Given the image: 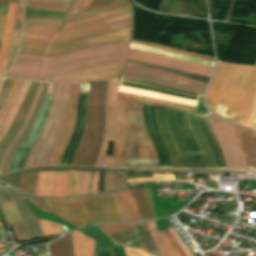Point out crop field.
Here are the masks:
<instances>
[{"label": "crop field", "instance_id": "425ffa30", "mask_svg": "<svg viewBox=\"0 0 256 256\" xmlns=\"http://www.w3.org/2000/svg\"><path fill=\"white\" fill-rule=\"evenodd\" d=\"M160 179H175V176L174 174H152V177L128 179V182L152 181V180H160Z\"/></svg>", "mask_w": 256, "mask_h": 256}, {"label": "crop field", "instance_id": "730fd06b", "mask_svg": "<svg viewBox=\"0 0 256 256\" xmlns=\"http://www.w3.org/2000/svg\"><path fill=\"white\" fill-rule=\"evenodd\" d=\"M15 6H16V3H9L8 14H7V19H6L4 34H3V41H2V46L0 49V68L4 62L6 55H7V51H8V47H9V43H10V39H11Z\"/></svg>", "mask_w": 256, "mask_h": 256}, {"label": "crop field", "instance_id": "120bbe31", "mask_svg": "<svg viewBox=\"0 0 256 256\" xmlns=\"http://www.w3.org/2000/svg\"><path fill=\"white\" fill-rule=\"evenodd\" d=\"M119 90L129 92V93L138 94V95H143V96H147V97H151V98L162 99V100H167V101H172V102H178V103H183V104H188V105L196 106V104H197V102H195V101L160 95V94H156V93L126 88V87H121V86H119Z\"/></svg>", "mask_w": 256, "mask_h": 256}, {"label": "crop field", "instance_id": "0765c3eb", "mask_svg": "<svg viewBox=\"0 0 256 256\" xmlns=\"http://www.w3.org/2000/svg\"><path fill=\"white\" fill-rule=\"evenodd\" d=\"M5 78H20V79L34 80V81H40L41 79L36 77L16 76V75H10V74H7Z\"/></svg>", "mask_w": 256, "mask_h": 256}, {"label": "crop field", "instance_id": "4a817a6b", "mask_svg": "<svg viewBox=\"0 0 256 256\" xmlns=\"http://www.w3.org/2000/svg\"><path fill=\"white\" fill-rule=\"evenodd\" d=\"M234 127L248 169H256V133L239 126Z\"/></svg>", "mask_w": 256, "mask_h": 256}, {"label": "crop field", "instance_id": "ac0d7876", "mask_svg": "<svg viewBox=\"0 0 256 256\" xmlns=\"http://www.w3.org/2000/svg\"><path fill=\"white\" fill-rule=\"evenodd\" d=\"M131 40L83 49L57 56L18 54L10 74L60 76L94 67L124 64Z\"/></svg>", "mask_w": 256, "mask_h": 256}, {"label": "crop field", "instance_id": "5a996713", "mask_svg": "<svg viewBox=\"0 0 256 256\" xmlns=\"http://www.w3.org/2000/svg\"><path fill=\"white\" fill-rule=\"evenodd\" d=\"M133 26L117 28L59 44L21 43L19 52L29 55H57L83 48L131 39Z\"/></svg>", "mask_w": 256, "mask_h": 256}, {"label": "crop field", "instance_id": "e1f06a70", "mask_svg": "<svg viewBox=\"0 0 256 256\" xmlns=\"http://www.w3.org/2000/svg\"><path fill=\"white\" fill-rule=\"evenodd\" d=\"M38 172L21 174L18 188L26 192H34Z\"/></svg>", "mask_w": 256, "mask_h": 256}, {"label": "crop field", "instance_id": "5866460e", "mask_svg": "<svg viewBox=\"0 0 256 256\" xmlns=\"http://www.w3.org/2000/svg\"><path fill=\"white\" fill-rule=\"evenodd\" d=\"M25 11L65 13L63 11L29 8V7H25ZM35 12H26V13H35ZM55 13H45V14H55ZM25 18L63 21L64 15L25 14Z\"/></svg>", "mask_w": 256, "mask_h": 256}, {"label": "crop field", "instance_id": "78b8030e", "mask_svg": "<svg viewBox=\"0 0 256 256\" xmlns=\"http://www.w3.org/2000/svg\"><path fill=\"white\" fill-rule=\"evenodd\" d=\"M162 236L164 237L166 243L168 244V246L170 247V249L172 250V252L174 253L175 256H178L177 252L175 251L174 247L172 246V244L170 243L169 239L166 237V235L163 233V231H161Z\"/></svg>", "mask_w": 256, "mask_h": 256}, {"label": "crop field", "instance_id": "a9b5d70f", "mask_svg": "<svg viewBox=\"0 0 256 256\" xmlns=\"http://www.w3.org/2000/svg\"><path fill=\"white\" fill-rule=\"evenodd\" d=\"M125 64L139 66V67H143V68H147V69H152V70L161 71V72H165V73L175 74V75L193 78V79H197V80H202V81H206V82L209 79L208 77H204V76H200V75H196V74H192V73H188V72H184V71H180V70H176V69H172V68H168V67H164V66L150 64V63H146V62H142V61L127 59Z\"/></svg>", "mask_w": 256, "mask_h": 256}, {"label": "crop field", "instance_id": "0f1d7ab4", "mask_svg": "<svg viewBox=\"0 0 256 256\" xmlns=\"http://www.w3.org/2000/svg\"><path fill=\"white\" fill-rule=\"evenodd\" d=\"M45 1H53V2L66 3V4L71 3V1H68V0H45Z\"/></svg>", "mask_w": 256, "mask_h": 256}, {"label": "crop field", "instance_id": "d23c7cc5", "mask_svg": "<svg viewBox=\"0 0 256 256\" xmlns=\"http://www.w3.org/2000/svg\"><path fill=\"white\" fill-rule=\"evenodd\" d=\"M173 239L176 241L182 252L185 256H193L189 250V248L185 245V243L180 239V237L175 233L172 227L167 228Z\"/></svg>", "mask_w": 256, "mask_h": 256}, {"label": "crop field", "instance_id": "c3a83c6f", "mask_svg": "<svg viewBox=\"0 0 256 256\" xmlns=\"http://www.w3.org/2000/svg\"><path fill=\"white\" fill-rule=\"evenodd\" d=\"M2 80H0V83H1Z\"/></svg>", "mask_w": 256, "mask_h": 256}, {"label": "crop field", "instance_id": "1f2cbd36", "mask_svg": "<svg viewBox=\"0 0 256 256\" xmlns=\"http://www.w3.org/2000/svg\"><path fill=\"white\" fill-rule=\"evenodd\" d=\"M123 248L126 252V256H153L139 249H132L127 247H123Z\"/></svg>", "mask_w": 256, "mask_h": 256}, {"label": "crop field", "instance_id": "fb207236", "mask_svg": "<svg viewBox=\"0 0 256 256\" xmlns=\"http://www.w3.org/2000/svg\"><path fill=\"white\" fill-rule=\"evenodd\" d=\"M206 117H207V115H206Z\"/></svg>", "mask_w": 256, "mask_h": 256}, {"label": "crop field", "instance_id": "5d738f31", "mask_svg": "<svg viewBox=\"0 0 256 256\" xmlns=\"http://www.w3.org/2000/svg\"><path fill=\"white\" fill-rule=\"evenodd\" d=\"M91 182H92V172L81 171L79 195L90 193Z\"/></svg>", "mask_w": 256, "mask_h": 256}, {"label": "crop field", "instance_id": "92a150f3", "mask_svg": "<svg viewBox=\"0 0 256 256\" xmlns=\"http://www.w3.org/2000/svg\"><path fill=\"white\" fill-rule=\"evenodd\" d=\"M113 194L123 220L143 218L130 189Z\"/></svg>", "mask_w": 256, "mask_h": 256}, {"label": "crop field", "instance_id": "d3111659", "mask_svg": "<svg viewBox=\"0 0 256 256\" xmlns=\"http://www.w3.org/2000/svg\"><path fill=\"white\" fill-rule=\"evenodd\" d=\"M98 226L119 245L131 241L123 223L105 224Z\"/></svg>", "mask_w": 256, "mask_h": 256}, {"label": "crop field", "instance_id": "0bd39190", "mask_svg": "<svg viewBox=\"0 0 256 256\" xmlns=\"http://www.w3.org/2000/svg\"><path fill=\"white\" fill-rule=\"evenodd\" d=\"M131 190L134 194V197L136 199V202L139 206V209H140L143 217L144 218L152 217L149 207H148V204H147V201H146V198H145V195H144V192H143V189L136 188V189H131Z\"/></svg>", "mask_w": 256, "mask_h": 256}, {"label": "crop field", "instance_id": "22f410ed", "mask_svg": "<svg viewBox=\"0 0 256 256\" xmlns=\"http://www.w3.org/2000/svg\"><path fill=\"white\" fill-rule=\"evenodd\" d=\"M155 115L158 128L169 148L173 166L205 168L201 154L180 156L166 120L165 108L156 105Z\"/></svg>", "mask_w": 256, "mask_h": 256}, {"label": "crop field", "instance_id": "00972430", "mask_svg": "<svg viewBox=\"0 0 256 256\" xmlns=\"http://www.w3.org/2000/svg\"><path fill=\"white\" fill-rule=\"evenodd\" d=\"M74 245V256H93L94 240L75 231L71 234Z\"/></svg>", "mask_w": 256, "mask_h": 256}, {"label": "crop field", "instance_id": "214f88e0", "mask_svg": "<svg viewBox=\"0 0 256 256\" xmlns=\"http://www.w3.org/2000/svg\"><path fill=\"white\" fill-rule=\"evenodd\" d=\"M22 25H23V5L17 3L10 48H9L8 55L5 59V62L0 70V78L8 70V68L10 67V65L15 57L17 47H18L20 37H21Z\"/></svg>", "mask_w": 256, "mask_h": 256}, {"label": "crop field", "instance_id": "c035e120", "mask_svg": "<svg viewBox=\"0 0 256 256\" xmlns=\"http://www.w3.org/2000/svg\"><path fill=\"white\" fill-rule=\"evenodd\" d=\"M24 6L30 7H39V8H49V9H57L67 11L70 5L52 3V2H42V1H30V0H22Z\"/></svg>", "mask_w": 256, "mask_h": 256}, {"label": "crop field", "instance_id": "03da06ac", "mask_svg": "<svg viewBox=\"0 0 256 256\" xmlns=\"http://www.w3.org/2000/svg\"><path fill=\"white\" fill-rule=\"evenodd\" d=\"M80 171H69L67 196L78 195Z\"/></svg>", "mask_w": 256, "mask_h": 256}, {"label": "crop field", "instance_id": "34b2d1b8", "mask_svg": "<svg viewBox=\"0 0 256 256\" xmlns=\"http://www.w3.org/2000/svg\"><path fill=\"white\" fill-rule=\"evenodd\" d=\"M255 91L256 65L218 61L206 101L217 116L240 124Z\"/></svg>", "mask_w": 256, "mask_h": 256}, {"label": "crop field", "instance_id": "d1516ede", "mask_svg": "<svg viewBox=\"0 0 256 256\" xmlns=\"http://www.w3.org/2000/svg\"><path fill=\"white\" fill-rule=\"evenodd\" d=\"M133 25V12L117 14L64 32H56L52 43H58L93 33Z\"/></svg>", "mask_w": 256, "mask_h": 256}, {"label": "crop field", "instance_id": "4177f3b9", "mask_svg": "<svg viewBox=\"0 0 256 256\" xmlns=\"http://www.w3.org/2000/svg\"><path fill=\"white\" fill-rule=\"evenodd\" d=\"M56 171L39 172L34 194L52 197Z\"/></svg>", "mask_w": 256, "mask_h": 256}, {"label": "crop field", "instance_id": "412701ff", "mask_svg": "<svg viewBox=\"0 0 256 256\" xmlns=\"http://www.w3.org/2000/svg\"><path fill=\"white\" fill-rule=\"evenodd\" d=\"M107 82L90 83L83 137L70 165L94 166L103 138Z\"/></svg>", "mask_w": 256, "mask_h": 256}, {"label": "crop field", "instance_id": "0fb4a251", "mask_svg": "<svg viewBox=\"0 0 256 256\" xmlns=\"http://www.w3.org/2000/svg\"><path fill=\"white\" fill-rule=\"evenodd\" d=\"M143 189H144V192H145V195H146V198H147L152 216L156 217L155 210H154V205H153V200H152V195H151V190H150V188H143Z\"/></svg>", "mask_w": 256, "mask_h": 256}, {"label": "crop field", "instance_id": "d9b57169", "mask_svg": "<svg viewBox=\"0 0 256 256\" xmlns=\"http://www.w3.org/2000/svg\"><path fill=\"white\" fill-rule=\"evenodd\" d=\"M80 84H73L72 92L69 101L68 115L65 125V130L62 133L47 165H58L64 149L72 135L73 127L75 125V114L77 102L79 98Z\"/></svg>", "mask_w": 256, "mask_h": 256}, {"label": "crop field", "instance_id": "bd1437ed", "mask_svg": "<svg viewBox=\"0 0 256 256\" xmlns=\"http://www.w3.org/2000/svg\"><path fill=\"white\" fill-rule=\"evenodd\" d=\"M127 186L126 172H105L104 191L119 189Z\"/></svg>", "mask_w": 256, "mask_h": 256}, {"label": "crop field", "instance_id": "d32e631a", "mask_svg": "<svg viewBox=\"0 0 256 256\" xmlns=\"http://www.w3.org/2000/svg\"><path fill=\"white\" fill-rule=\"evenodd\" d=\"M54 32L24 31L21 42L49 43Z\"/></svg>", "mask_w": 256, "mask_h": 256}, {"label": "crop field", "instance_id": "ae633e8c", "mask_svg": "<svg viewBox=\"0 0 256 256\" xmlns=\"http://www.w3.org/2000/svg\"><path fill=\"white\" fill-rule=\"evenodd\" d=\"M121 1H127V0H107L105 4L115 3V2H121Z\"/></svg>", "mask_w": 256, "mask_h": 256}, {"label": "crop field", "instance_id": "ae1a2a85", "mask_svg": "<svg viewBox=\"0 0 256 256\" xmlns=\"http://www.w3.org/2000/svg\"><path fill=\"white\" fill-rule=\"evenodd\" d=\"M51 256H73V245L70 234L49 244Z\"/></svg>", "mask_w": 256, "mask_h": 256}, {"label": "crop field", "instance_id": "447ae74e", "mask_svg": "<svg viewBox=\"0 0 256 256\" xmlns=\"http://www.w3.org/2000/svg\"><path fill=\"white\" fill-rule=\"evenodd\" d=\"M18 81H19V80H15V82H14V84H13V86H12L11 91H10L9 94L7 95L5 101H4V103H3V105H2V107H1V109H0V114H1L2 111L4 110V108H5L6 104H7V102L9 101V99L11 98V96H12V94H13V92H14L16 86H17Z\"/></svg>", "mask_w": 256, "mask_h": 256}, {"label": "crop field", "instance_id": "dd49c442", "mask_svg": "<svg viewBox=\"0 0 256 256\" xmlns=\"http://www.w3.org/2000/svg\"><path fill=\"white\" fill-rule=\"evenodd\" d=\"M71 87L72 85H56L45 125L22 168L47 164L48 158L64 129Z\"/></svg>", "mask_w": 256, "mask_h": 256}, {"label": "crop field", "instance_id": "ade564c9", "mask_svg": "<svg viewBox=\"0 0 256 256\" xmlns=\"http://www.w3.org/2000/svg\"><path fill=\"white\" fill-rule=\"evenodd\" d=\"M91 2V0H87L86 3L83 5L84 6H88V4Z\"/></svg>", "mask_w": 256, "mask_h": 256}, {"label": "crop field", "instance_id": "b80d0937", "mask_svg": "<svg viewBox=\"0 0 256 256\" xmlns=\"http://www.w3.org/2000/svg\"><path fill=\"white\" fill-rule=\"evenodd\" d=\"M146 224H147L149 232L157 246L159 254L161 256H169L165 246L163 245L162 241L160 240V238L157 234L158 230H157L155 221L154 220L146 221Z\"/></svg>", "mask_w": 256, "mask_h": 256}, {"label": "crop field", "instance_id": "28ad6ade", "mask_svg": "<svg viewBox=\"0 0 256 256\" xmlns=\"http://www.w3.org/2000/svg\"><path fill=\"white\" fill-rule=\"evenodd\" d=\"M122 76L201 93L205 82L126 65Z\"/></svg>", "mask_w": 256, "mask_h": 256}, {"label": "crop field", "instance_id": "bc2a9ffb", "mask_svg": "<svg viewBox=\"0 0 256 256\" xmlns=\"http://www.w3.org/2000/svg\"><path fill=\"white\" fill-rule=\"evenodd\" d=\"M124 224L136 248L158 254L144 222H130Z\"/></svg>", "mask_w": 256, "mask_h": 256}, {"label": "crop field", "instance_id": "e52e79f7", "mask_svg": "<svg viewBox=\"0 0 256 256\" xmlns=\"http://www.w3.org/2000/svg\"><path fill=\"white\" fill-rule=\"evenodd\" d=\"M23 199H29L34 206L43 211L51 212L49 205L43 199L26 196L10 187H0V201L13 200L23 219L20 221L21 218L12 201L0 202L9 223L20 221L12 223L17 240L41 238L43 237L41 227Z\"/></svg>", "mask_w": 256, "mask_h": 256}, {"label": "crop field", "instance_id": "89e229c0", "mask_svg": "<svg viewBox=\"0 0 256 256\" xmlns=\"http://www.w3.org/2000/svg\"><path fill=\"white\" fill-rule=\"evenodd\" d=\"M8 4V3H5ZM0 3V42L2 39V33H3V28H4V23L6 19V13H7V7L8 5H5Z\"/></svg>", "mask_w": 256, "mask_h": 256}, {"label": "crop field", "instance_id": "3316defc", "mask_svg": "<svg viewBox=\"0 0 256 256\" xmlns=\"http://www.w3.org/2000/svg\"><path fill=\"white\" fill-rule=\"evenodd\" d=\"M208 118L223 153L226 167L247 169L243 155L236 140L233 125L219 121L213 118L211 115H208Z\"/></svg>", "mask_w": 256, "mask_h": 256}, {"label": "crop field", "instance_id": "7b73153f", "mask_svg": "<svg viewBox=\"0 0 256 256\" xmlns=\"http://www.w3.org/2000/svg\"><path fill=\"white\" fill-rule=\"evenodd\" d=\"M98 175H99V172H95L91 193L97 192Z\"/></svg>", "mask_w": 256, "mask_h": 256}, {"label": "crop field", "instance_id": "1d83c4d3", "mask_svg": "<svg viewBox=\"0 0 256 256\" xmlns=\"http://www.w3.org/2000/svg\"><path fill=\"white\" fill-rule=\"evenodd\" d=\"M41 85V84H40ZM42 88H40L39 86V89L36 93V96L34 98V101L31 105V108L28 112V115L25 119V122L23 123V125L21 126L20 130L17 132V134L14 136V138L11 140V142L9 143L8 147L6 148L5 152L3 153L2 157H1V160H0V174L2 173V170H3V167H4V164H5V161H6V158L9 154V152L11 151V149L13 148V146L15 145V143L17 142L18 138L20 137V135L22 134L23 130L25 129L31 115H32V112L37 104V100H38V97H39V94H40V91H41Z\"/></svg>", "mask_w": 256, "mask_h": 256}, {"label": "crop field", "instance_id": "73cf0c24", "mask_svg": "<svg viewBox=\"0 0 256 256\" xmlns=\"http://www.w3.org/2000/svg\"><path fill=\"white\" fill-rule=\"evenodd\" d=\"M63 22L44 20H25V25L61 26Z\"/></svg>", "mask_w": 256, "mask_h": 256}, {"label": "crop field", "instance_id": "f4fd0767", "mask_svg": "<svg viewBox=\"0 0 256 256\" xmlns=\"http://www.w3.org/2000/svg\"><path fill=\"white\" fill-rule=\"evenodd\" d=\"M46 201L52 213L77 227L90 222L122 220L112 193L86 198Z\"/></svg>", "mask_w": 256, "mask_h": 256}, {"label": "crop field", "instance_id": "750c4746", "mask_svg": "<svg viewBox=\"0 0 256 256\" xmlns=\"http://www.w3.org/2000/svg\"><path fill=\"white\" fill-rule=\"evenodd\" d=\"M133 11V7L130 8H124V9H118V10H111V11H105V12H99V13H94V17L91 18H86V19H81V20H76V21H71V22H66L63 24V26L58 30V31H64L79 25H83L107 16H111L117 13H122V12H130Z\"/></svg>", "mask_w": 256, "mask_h": 256}, {"label": "crop field", "instance_id": "5142ce71", "mask_svg": "<svg viewBox=\"0 0 256 256\" xmlns=\"http://www.w3.org/2000/svg\"><path fill=\"white\" fill-rule=\"evenodd\" d=\"M118 82H108L107 107H106V128L104 139L95 166H105L107 152L110 142L113 141L116 122V94Z\"/></svg>", "mask_w": 256, "mask_h": 256}, {"label": "crop field", "instance_id": "c5b07064", "mask_svg": "<svg viewBox=\"0 0 256 256\" xmlns=\"http://www.w3.org/2000/svg\"><path fill=\"white\" fill-rule=\"evenodd\" d=\"M121 79H122V77H121ZM121 79H120V83H121ZM120 85V84H119ZM198 98H199V94H198ZM198 100V99H197Z\"/></svg>", "mask_w": 256, "mask_h": 256}, {"label": "crop field", "instance_id": "733c2abd", "mask_svg": "<svg viewBox=\"0 0 256 256\" xmlns=\"http://www.w3.org/2000/svg\"><path fill=\"white\" fill-rule=\"evenodd\" d=\"M40 83H36L33 82L32 86L13 122V124L10 126L9 130L7 131V133L5 134L4 138L1 140L0 142V157L3 153V151L5 150L6 146L8 145V143L10 142V140L13 138V136L16 134V132L18 131L19 127L21 126V124L23 123L27 112L30 108V105L33 101V98L35 96V93L38 89Z\"/></svg>", "mask_w": 256, "mask_h": 256}, {"label": "crop field", "instance_id": "b54c1fbb", "mask_svg": "<svg viewBox=\"0 0 256 256\" xmlns=\"http://www.w3.org/2000/svg\"><path fill=\"white\" fill-rule=\"evenodd\" d=\"M38 220L42 227L44 237L64 233L61 225L55 224L52 222H48V221H44V220H40V219H38Z\"/></svg>", "mask_w": 256, "mask_h": 256}, {"label": "crop field", "instance_id": "d14b1444", "mask_svg": "<svg viewBox=\"0 0 256 256\" xmlns=\"http://www.w3.org/2000/svg\"><path fill=\"white\" fill-rule=\"evenodd\" d=\"M1 2H19L20 3V1L19 0H0Z\"/></svg>", "mask_w": 256, "mask_h": 256}, {"label": "crop field", "instance_id": "1d79db26", "mask_svg": "<svg viewBox=\"0 0 256 256\" xmlns=\"http://www.w3.org/2000/svg\"><path fill=\"white\" fill-rule=\"evenodd\" d=\"M60 27L25 26L24 30L57 31Z\"/></svg>", "mask_w": 256, "mask_h": 256}, {"label": "crop field", "instance_id": "db79e9e6", "mask_svg": "<svg viewBox=\"0 0 256 256\" xmlns=\"http://www.w3.org/2000/svg\"><path fill=\"white\" fill-rule=\"evenodd\" d=\"M163 231L165 232V234L168 236V238L170 239L171 243L173 244V246L175 247L176 251L178 252L179 256H184L183 253L181 252V250L179 249V247L177 246V244L175 243V241L172 239V237L169 235V233L166 231V229H163Z\"/></svg>", "mask_w": 256, "mask_h": 256}, {"label": "crop field", "instance_id": "028f5c9d", "mask_svg": "<svg viewBox=\"0 0 256 256\" xmlns=\"http://www.w3.org/2000/svg\"><path fill=\"white\" fill-rule=\"evenodd\" d=\"M68 171H57L53 197L66 196Z\"/></svg>", "mask_w": 256, "mask_h": 256}, {"label": "crop field", "instance_id": "dafd665d", "mask_svg": "<svg viewBox=\"0 0 256 256\" xmlns=\"http://www.w3.org/2000/svg\"><path fill=\"white\" fill-rule=\"evenodd\" d=\"M32 82L24 81L22 88L16 97L13 105L11 106L6 118L4 119L3 123L0 126V140L3 138L4 134L6 133L9 126L12 124ZM9 130V129H8Z\"/></svg>", "mask_w": 256, "mask_h": 256}, {"label": "crop field", "instance_id": "dbb93151", "mask_svg": "<svg viewBox=\"0 0 256 256\" xmlns=\"http://www.w3.org/2000/svg\"><path fill=\"white\" fill-rule=\"evenodd\" d=\"M22 82H23V81H21V80L19 81V84H18V86H17V89H16L14 95L12 96V98H11V100L9 101L8 105L6 106V108H5L4 112H3V114L1 115V117H0V124H1V122L3 121V119L5 118V116H6L7 112H8V110H9L10 106L12 105V103H13L15 97L17 96V94H18V92H19V90H20V88H21Z\"/></svg>", "mask_w": 256, "mask_h": 256}, {"label": "crop field", "instance_id": "c21b1889", "mask_svg": "<svg viewBox=\"0 0 256 256\" xmlns=\"http://www.w3.org/2000/svg\"><path fill=\"white\" fill-rule=\"evenodd\" d=\"M241 124L256 129V93Z\"/></svg>", "mask_w": 256, "mask_h": 256}, {"label": "crop field", "instance_id": "cbeb9de0", "mask_svg": "<svg viewBox=\"0 0 256 256\" xmlns=\"http://www.w3.org/2000/svg\"><path fill=\"white\" fill-rule=\"evenodd\" d=\"M124 65L101 67L60 77H43L42 81L50 83H77L85 81L114 80L118 81Z\"/></svg>", "mask_w": 256, "mask_h": 256}, {"label": "crop field", "instance_id": "8a807250", "mask_svg": "<svg viewBox=\"0 0 256 256\" xmlns=\"http://www.w3.org/2000/svg\"><path fill=\"white\" fill-rule=\"evenodd\" d=\"M142 102L168 106L194 113L196 108L194 106L165 102L118 91L115 138L107 166L124 167L126 165L128 111H142ZM129 124H144L142 112H129ZM127 158L158 159L145 125H130ZM127 163H158V160L127 159ZM127 167H159V164H127Z\"/></svg>", "mask_w": 256, "mask_h": 256}, {"label": "crop field", "instance_id": "d8731c3e", "mask_svg": "<svg viewBox=\"0 0 256 256\" xmlns=\"http://www.w3.org/2000/svg\"><path fill=\"white\" fill-rule=\"evenodd\" d=\"M131 42L213 61V58H211V57L191 53L188 51H184V50H180V49H176V48H172V47H168V46L151 44V43L135 41V40H132ZM133 43H131V45H130V47H132V48L141 49V50H145V51H150V52H154V53H159V54H163V55H167V56H172V57H176V58H181V59L213 66V62H211V61L198 59V58H194V57H189V56L176 54V53H172V52H168V51H163V50H159V49H155V48H150V47H146V46H141V45H137V44H133ZM154 53L134 50V49L130 48L127 58L142 60V61L155 63V64H159V65H164V66H168V67H172V68H177V69L197 73V74L208 76V77L210 76V74L212 72L213 67H209V66H205V65H201V64H197V63H192V62H188V61H184V60H180V59H176V58H171V57H167V56H163V55H159V54H154Z\"/></svg>", "mask_w": 256, "mask_h": 256}, {"label": "crop field", "instance_id": "c39391a2", "mask_svg": "<svg viewBox=\"0 0 256 256\" xmlns=\"http://www.w3.org/2000/svg\"><path fill=\"white\" fill-rule=\"evenodd\" d=\"M0 212H1V214L3 215V217H4V214H3L2 210H1V207H0ZM4 219H5V217H4ZM5 220H6V219H5ZM0 229H3V226H2L1 220H0Z\"/></svg>", "mask_w": 256, "mask_h": 256}, {"label": "crop field", "instance_id": "eef30255", "mask_svg": "<svg viewBox=\"0 0 256 256\" xmlns=\"http://www.w3.org/2000/svg\"><path fill=\"white\" fill-rule=\"evenodd\" d=\"M130 6H132V4L130 3V1H127V2L110 4V5H106V6L85 7V8H81L78 13L67 15L64 22L81 19V18H86V17H91V16H93L92 13L98 12V11L122 8V7H130Z\"/></svg>", "mask_w": 256, "mask_h": 256}, {"label": "crop field", "instance_id": "9d1cf04e", "mask_svg": "<svg viewBox=\"0 0 256 256\" xmlns=\"http://www.w3.org/2000/svg\"><path fill=\"white\" fill-rule=\"evenodd\" d=\"M86 0H74L72 6L70 7L69 11L67 14L69 13H75V12H78V10L80 9V7L83 5V3L85 2Z\"/></svg>", "mask_w": 256, "mask_h": 256}, {"label": "crop field", "instance_id": "e1d0b9f6", "mask_svg": "<svg viewBox=\"0 0 256 256\" xmlns=\"http://www.w3.org/2000/svg\"><path fill=\"white\" fill-rule=\"evenodd\" d=\"M158 233H159V235H160V237H161V239H162V241H163L164 245L166 246V248H167V250H168V252H169V255H170V256H173V254H172L171 250L169 249V247L167 246V244H166V243H165V241L163 240V238H162V236H161L160 232H158Z\"/></svg>", "mask_w": 256, "mask_h": 256}, {"label": "crop field", "instance_id": "25e5ab78", "mask_svg": "<svg viewBox=\"0 0 256 256\" xmlns=\"http://www.w3.org/2000/svg\"><path fill=\"white\" fill-rule=\"evenodd\" d=\"M14 80L12 79H5L1 88H0V107L6 97V95L8 94V92L11 89V86L13 84Z\"/></svg>", "mask_w": 256, "mask_h": 256}]
</instances>
